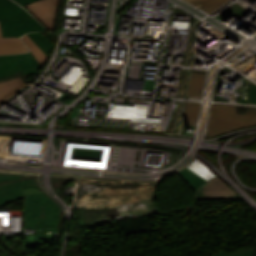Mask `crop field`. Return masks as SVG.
<instances>
[{
  "label": "crop field",
  "instance_id": "1",
  "mask_svg": "<svg viewBox=\"0 0 256 256\" xmlns=\"http://www.w3.org/2000/svg\"><path fill=\"white\" fill-rule=\"evenodd\" d=\"M252 125H256V111H250L244 117L236 114L233 107L213 105L209 123V137Z\"/></svg>",
  "mask_w": 256,
  "mask_h": 256
},
{
  "label": "crop field",
  "instance_id": "2",
  "mask_svg": "<svg viewBox=\"0 0 256 256\" xmlns=\"http://www.w3.org/2000/svg\"><path fill=\"white\" fill-rule=\"evenodd\" d=\"M61 0H40L25 7L40 23L50 31H55Z\"/></svg>",
  "mask_w": 256,
  "mask_h": 256
},
{
  "label": "crop field",
  "instance_id": "3",
  "mask_svg": "<svg viewBox=\"0 0 256 256\" xmlns=\"http://www.w3.org/2000/svg\"><path fill=\"white\" fill-rule=\"evenodd\" d=\"M39 190L33 179L0 185V207L23 198V192Z\"/></svg>",
  "mask_w": 256,
  "mask_h": 256
},
{
  "label": "crop field",
  "instance_id": "4",
  "mask_svg": "<svg viewBox=\"0 0 256 256\" xmlns=\"http://www.w3.org/2000/svg\"><path fill=\"white\" fill-rule=\"evenodd\" d=\"M3 37H18L29 31H44L45 29L34 20H1L0 21Z\"/></svg>",
  "mask_w": 256,
  "mask_h": 256
},
{
  "label": "crop field",
  "instance_id": "5",
  "mask_svg": "<svg viewBox=\"0 0 256 256\" xmlns=\"http://www.w3.org/2000/svg\"><path fill=\"white\" fill-rule=\"evenodd\" d=\"M29 13L10 0H0V19L29 18Z\"/></svg>",
  "mask_w": 256,
  "mask_h": 256
},
{
  "label": "crop field",
  "instance_id": "6",
  "mask_svg": "<svg viewBox=\"0 0 256 256\" xmlns=\"http://www.w3.org/2000/svg\"><path fill=\"white\" fill-rule=\"evenodd\" d=\"M28 52L19 38H2L0 29V55Z\"/></svg>",
  "mask_w": 256,
  "mask_h": 256
},
{
  "label": "crop field",
  "instance_id": "7",
  "mask_svg": "<svg viewBox=\"0 0 256 256\" xmlns=\"http://www.w3.org/2000/svg\"><path fill=\"white\" fill-rule=\"evenodd\" d=\"M24 86L20 77L0 82V104L12 97Z\"/></svg>",
  "mask_w": 256,
  "mask_h": 256
},
{
  "label": "crop field",
  "instance_id": "8",
  "mask_svg": "<svg viewBox=\"0 0 256 256\" xmlns=\"http://www.w3.org/2000/svg\"><path fill=\"white\" fill-rule=\"evenodd\" d=\"M23 74L38 73L42 68L31 53L15 55ZM22 58V60H20Z\"/></svg>",
  "mask_w": 256,
  "mask_h": 256
},
{
  "label": "crop field",
  "instance_id": "9",
  "mask_svg": "<svg viewBox=\"0 0 256 256\" xmlns=\"http://www.w3.org/2000/svg\"><path fill=\"white\" fill-rule=\"evenodd\" d=\"M79 211H80V215H81V219H82V221L79 224L83 228V230L89 229V228H94V227L104 223L102 218L107 217V216L98 217V214L96 212H92V211H84L82 209H79ZM106 219L108 221L112 220L108 217Z\"/></svg>",
  "mask_w": 256,
  "mask_h": 256
},
{
  "label": "crop field",
  "instance_id": "10",
  "mask_svg": "<svg viewBox=\"0 0 256 256\" xmlns=\"http://www.w3.org/2000/svg\"><path fill=\"white\" fill-rule=\"evenodd\" d=\"M21 71L14 55L0 56V78Z\"/></svg>",
  "mask_w": 256,
  "mask_h": 256
},
{
  "label": "crop field",
  "instance_id": "11",
  "mask_svg": "<svg viewBox=\"0 0 256 256\" xmlns=\"http://www.w3.org/2000/svg\"><path fill=\"white\" fill-rule=\"evenodd\" d=\"M177 174L185 182H187L195 191L201 184H203L206 181V180L202 179L201 177H199L196 173H194L187 167Z\"/></svg>",
  "mask_w": 256,
  "mask_h": 256
},
{
  "label": "crop field",
  "instance_id": "12",
  "mask_svg": "<svg viewBox=\"0 0 256 256\" xmlns=\"http://www.w3.org/2000/svg\"><path fill=\"white\" fill-rule=\"evenodd\" d=\"M31 39L38 45V47L49 57L51 49H54V43L48 40L40 32L28 33Z\"/></svg>",
  "mask_w": 256,
  "mask_h": 256
},
{
  "label": "crop field",
  "instance_id": "13",
  "mask_svg": "<svg viewBox=\"0 0 256 256\" xmlns=\"http://www.w3.org/2000/svg\"><path fill=\"white\" fill-rule=\"evenodd\" d=\"M25 45L28 47V49L32 52L36 60L39 62V64L43 67V65L47 61V57L44 55V53L37 47V45L30 39V37L25 34L23 37H21Z\"/></svg>",
  "mask_w": 256,
  "mask_h": 256
},
{
  "label": "crop field",
  "instance_id": "14",
  "mask_svg": "<svg viewBox=\"0 0 256 256\" xmlns=\"http://www.w3.org/2000/svg\"><path fill=\"white\" fill-rule=\"evenodd\" d=\"M204 75L193 73L188 96L201 97Z\"/></svg>",
  "mask_w": 256,
  "mask_h": 256
},
{
  "label": "crop field",
  "instance_id": "15",
  "mask_svg": "<svg viewBox=\"0 0 256 256\" xmlns=\"http://www.w3.org/2000/svg\"><path fill=\"white\" fill-rule=\"evenodd\" d=\"M188 2L194 5H201L200 9L210 13L215 10L217 7L225 3L227 0H187Z\"/></svg>",
  "mask_w": 256,
  "mask_h": 256
},
{
  "label": "crop field",
  "instance_id": "16",
  "mask_svg": "<svg viewBox=\"0 0 256 256\" xmlns=\"http://www.w3.org/2000/svg\"><path fill=\"white\" fill-rule=\"evenodd\" d=\"M186 104L187 109L184 124L192 125L194 121H197L200 104L191 102H187Z\"/></svg>",
  "mask_w": 256,
  "mask_h": 256
},
{
  "label": "crop field",
  "instance_id": "17",
  "mask_svg": "<svg viewBox=\"0 0 256 256\" xmlns=\"http://www.w3.org/2000/svg\"><path fill=\"white\" fill-rule=\"evenodd\" d=\"M252 252H253V249H249V250L244 251V252L228 255L227 253H225L224 251L221 250V251H219L218 253H216L212 256H251Z\"/></svg>",
  "mask_w": 256,
  "mask_h": 256
},
{
  "label": "crop field",
  "instance_id": "18",
  "mask_svg": "<svg viewBox=\"0 0 256 256\" xmlns=\"http://www.w3.org/2000/svg\"><path fill=\"white\" fill-rule=\"evenodd\" d=\"M21 178L20 176L17 175H5V174H0V183L8 180H15Z\"/></svg>",
  "mask_w": 256,
  "mask_h": 256
},
{
  "label": "crop field",
  "instance_id": "19",
  "mask_svg": "<svg viewBox=\"0 0 256 256\" xmlns=\"http://www.w3.org/2000/svg\"><path fill=\"white\" fill-rule=\"evenodd\" d=\"M14 1L18 2L22 6L24 4L30 3L35 0H14Z\"/></svg>",
  "mask_w": 256,
  "mask_h": 256
}]
</instances>
